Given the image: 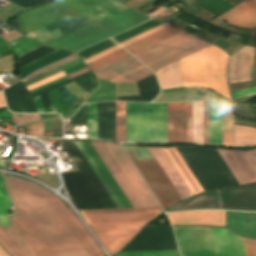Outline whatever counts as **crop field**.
Segmentation results:
<instances>
[{
    "instance_id": "crop-field-1",
    "label": "crop field",
    "mask_w": 256,
    "mask_h": 256,
    "mask_svg": "<svg viewBox=\"0 0 256 256\" xmlns=\"http://www.w3.org/2000/svg\"><path fill=\"white\" fill-rule=\"evenodd\" d=\"M15 214L0 218V244L12 256H105L63 202L23 179L6 175Z\"/></svg>"
},
{
    "instance_id": "crop-field-2",
    "label": "crop field",
    "mask_w": 256,
    "mask_h": 256,
    "mask_svg": "<svg viewBox=\"0 0 256 256\" xmlns=\"http://www.w3.org/2000/svg\"><path fill=\"white\" fill-rule=\"evenodd\" d=\"M228 55L211 45L180 61L184 86L209 87L231 100L225 73Z\"/></svg>"
},
{
    "instance_id": "crop-field-3",
    "label": "crop field",
    "mask_w": 256,
    "mask_h": 256,
    "mask_svg": "<svg viewBox=\"0 0 256 256\" xmlns=\"http://www.w3.org/2000/svg\"><path fill=\"white\" fill-rule=\"evenodd\" d=\"M127 142L167 143L166 103L126 102Z\"/></svg>"
},
{
    "instance_id": "crop-field-4",
    "label": "crop field",
    "mask_w": 256,
    "mask_h": 256,
    "mask_svg": "<svg viewBox=\"0 0 256 256\" xmlns=\"http://www.w3.org/2000/svg\"><path fill=\"white\" fill-rule=\"evenodd\" d=\"M204 191L239 186L217 150L176 148Z\"/></svg>"
},
{
    "instance_id": "crop-field-5",
    "label": "crop field",
    "mask_w": 256,
    "mask_h": 256,
    "mask_svg": "<svg viewBox=\"0 0 256 256\" xmlns=\"http://www.w3.org/2000/svg\"><path fill=\"white\" fill-rule=\"evenodd\" d=\"M149 18L128 8L110 18L49 44L57 48H68L75 52L106 38L121 33Z\"/></svg>"
},
{
    "instance_id": "crop-field-6",
    "label": "crop field",
    "mask_w": 256,
    "mask_h": 256,
    "mask_svg": "<svg viewBox=\"0 0 256 256\" xmlns=\"http://www.w3.org/2000/svg\"><path fill=\"white\" fill-rule=\"evenodd\" d=\"M126 8L128 7L116 0H107L26 36L40 44L47 45Z\"/></svg>"
},
{
    "instance_id": "crop-field-7",
    "label": "crop field",
    "mask_w": 256,
    "mask_h": 256,
    "mask_svg": "<svg viewBox=\"0 0 256 256\" xmlns=\"http://www.w3.org/2000/svg\"><path fill=\"white\" fill-rule=\"evenodd\" d=\"M209 45L211 44L181 31L133 55L156 71Z\"/></svg>"
},
{
    "instance_id": "crop-field-8",
    "label": "crop field",
    "mask_w": 256,
    "mask_h": 256,
    "mask_svg": "<svg viewBox=\"0 0 256 256\" xmlns=\"http://www.w3.org/2000/svg\"><path fill=\"white\" fill-rule=\"evenodd\" d=\"M101 1L103 0H59L29 10L20 18L26 30L30 33Z\"/></svg>"
},
{
    "instance_id": "crop-field-9",
    "label": "crop field",
    "mask_w": 256,
    "mask_h": 256,
    "mask_svg": "<svg viewBox=\"0 0 256 256\" xmlns=\"http://www.w3.org/2000/svg\"><path fill=\"white\" fill-rule=\"evenodd\" d=\"M127 153L152 187L163 209L182 200L151 153Z\"/></svg>"
},
{
    "instance_id": "crop-field-10",
    "label": "crop field",
    "mask_w": 256,
    "mask_h": 256,
    "mask_svg": "<svg viewBox=\"0 0 256 256\" xmlns=\"http://www.w3.org/2000/svg\"><path fill=\"white\" fill-rule=\"evenodd\" d=\"M181 256H218L209 227H173Z\"/></svg>"
},
{
    "instance_id": "crop-field-11",
    "label": "crop field",
    "mask_w": 256,
    "mask_h": 256,
    "mask_svg": "<svg viewBox=\"0 0 256 256\" xmlns=\"http://www.w3.org/2000/svg\"><path fill=\"white\" fill-rule=\"evenodd\" d=\"M153 72L131 55L96 72V77L114 83L138 81Z\"/></svg>"
},
{
    "instance_id": "crop-field-12",
    "label": "crop field",
    "mask_w": 256,
    "mask_h": 256,
    "mask_svg": "<svg viewBox=\"0 0 256 256\" xmlns=\"http://www.w3.org/2000/svg\"><path fill=\"white\" fill-rule=\"evenodd\" d=\"M147 223L90 226L98 239L113 255L121 250L130 239Z\"/></svg>"
},
{
    "instance_id": "crop-field-13",
    "label": "crop field",
    "mask_w": 256,
    "mask_h": 256,
    "mask_svg": "<svg viewBox=\"0 0 256 256\" xmlns=\"http://www.w3.org/2000/svg\"><path fill=\"white\" fill-rule=\"evenodd\" d=\"M148 210H161V208L92 210V211H80V213L148 211ZM160 212L161 211L122 212V213H95V214H83V216L86 219L88 225L138 223V222H149L153 217H155Z\"/></svg>"
},
{
    "instance_id": "crop-field-14",
    "label": "crop field",
    "mask_w": 256,
    "mask_h": 256,
    "mask_svg": "<svg viewBox=\"0 0 256 256\" xmlns=\"http://www.w3.org/2000/svg\"><path fill=\"white\" fill-rule=\"evenodd\" d=\"M240 185L256 182V150L240 152L218 150Z\"/></svg>"
},
{
    "instance_id": "crop-field-15",
    "label": "crop field",
    "mask_w": 256,
    "mask_h": 256,
    "mask_svg": "<svg viewBox=\"0 0 256 256\" xmlns=\"http://www.w3.org/2000/svg\"><path fill=\"white\" fill-rule=\"evenodd\" d=\"M115 159L118 161L134 187L136 188L137 192L147 205V207H154L159 206L157 201L155 200L154 196L150 192L149 188L141 178L140 174L128 158L127 154L121 147V145L111 144L105 142Z\"/></svg>"
},
{
    "instance_id": "crop-field-16",
    "label": "crop field",
    "mask_w": 256,
    "mask_h": 256,
    "mask_svg": "<svg viewBox=\"0 0 256 256\" xmlns=\"http://www.w3.org/2000/svg\"><path fill=\"white\" fill-rule=\"evenodd\" d=\"M91 144L103 159L133 207H146L104 142H91Z\"/></svg>"
},
{
    "instance_id": "crop-field-17",
    "label": "crop field",
    "mask_w": 256,
    "mask_h": 256,
    "mask_svg": "<svg viewBox=\"0 0 256 256\" xmlns=\"http://www.w3.org/2000/svg\"><path fill=\"white\" fill-rule=\"evenodd\" d=\"M218 18L226 22L245 28H256V0H247L224 14L218 16L210 23L223 28L226 24L217 20ZM249 30L241 29L240 34L248 36Z\"/></svg>"
},
{
    "instance_id": "crop-field-18",
    "label": "crop field",
    "mask_w": 256,
    "mask_h": 256,
    "mask_svg": "<svg viewBox=\"0 0 256 256\" xmlns=\"http://www.w3.org/2000/svg\"><path fill=\"white\" fill-rule=\"evenodd\" d=\"M168 143L187 142L186 102L167 103Z\"/></svg>"
},
{
    "instance_id": "crop-field-19",
    "label": "crop field",
    "mask_w": 256,
    "mask_h": 256,
    "mask_svg": "<svg viewBox=\"0 0 256 256\" xmlns=\"http://www.w3.org/2000/svg\"><path fill=\"white\" fill-rule=\"evenodd\" d=\"M171 224L226 226V211H197L167 214Z\"/></svg>"
},
{
    "instance_id": "crop-field-20",
    "label": "crop field",
    "mask_w": 256,
    "mask_h": 256,
    "mask_svg": "<svg viewBox=\"0 0 256 256\" xmlns=\"http://www.w3.org/2000/svg\"><path fill=\"white\" fill-rule=\"evenodd\" d=\"M254 48L245 46L236 55L230 56L228 78L230 83L250 81Z\"/></svg>"
},
{
    "instance_id": "crop-field-21",
    "label": "crop field",
    "mask_w": 256,
    "mask_h": 256,
    "mask_svg": "<svg viewBox=\"0 0 256 256\" xmlns=\"http://www.w3.org/2000/svg\"><path fill=\"white\" fill-rule=\"evenodd\" d=\"M210 228L219 256H245L240 237L225 228Z\"/></svg>"
},
{
    "instance_id": "crop-field-22",
    "label": "crop field",
    "mask_w": 256,
    "mask_h": 256,
    "mask_svg": "<svg viewBox=\"0 0 256 256\" xmlns=\"http://www.w3.org/2000/svg\"><path fill=\"white\" fill-rule=\"evenodd\" d=\"M227 227L243 237L256 239V213L227 211Z\"/></svg>"
},
{
    "instance_id": "crop-field-23",
    "label": "crop field",
    "mask_w": 256,
    "mask_h": 256,
    "mask_svg": "<svg viewBox=\"0 0 256 256\" xmlns=\"http://www.w3.org/2000/svg\"><path fill=\"white\" fill-rule=\"evenodd\" d=\"M149 150L153 153L168 178L182 197V199L192 195V192L183 181L171 161L168 159L162 148H149Z\"/></svg>"
},
{
    "instance_id": "crop-field-24",
    "label": "crop field",
    "mask_w": 256,
    "mask_h": 256,
    "mask_svg": "<svg viewBox=\"0 0 256 256\" xmlns=\"http://www.w3.org/2000/svg\"><path fill=\"white\" fill-rule=\"evenodd\" d=\"M99 139L115 141V102L98 103Z\"/></svg>"
},
{
    "instance_id": "crop-field-25",
    "label": "crop field",
    "mask_w": 256,
    "mask_h": 256,
    "mask_svg": "<svg viewBox=\"0 0 256 256\" xmlns=\"http://www.w3.org/2000/svg\"><path fill=\"white\" fill-rule=\"evenodd\" d=\"M169 159L172 161L184 181L187 183L193 194L202 192L203 189L196 181L184 161L181 159L175 148H163Z\"/></svg>"
},
{
    "instance_id": "crop-field-26",
    "label": "crop field",
    "mask_w": 256,
    "mask_h": 256,
    "mask_svg": "<svg viewBox=\"0 0 256 256\" xmlns=\"http://www.w3.org/2000/svg\"><path fill=\"white\" fill-rule=\"evenodd\" d=\"M210 144H221L222 102H209Z\"/></svg>"
},
{
    "instance_id": "crop-field-27",
    "label": "crop field",
    "mask_w": 256,
    "mask_h": 256,
    "mask_svg": "<svg viewBox=\"0 0 256 256\" xmlns=\"http://www.w3.org/2000/svg\"><path fill=\"white\" fill-rule=\"evenodd\" d=\"M155 73L161 89L183 86L179 61Z\"/></svg>"
},
{
    "instance_id": "crop-field-28",
    "label": "crop field",
    "mask_w": 256,
    "mask_h": 256,
    "mask_svg": "<svg viewBox=\"0 0 256 256\" xmlns=\"http://www.w3.org/2000/svg\"><path fill=\"white\" fill-rule=\"evenodd\" d=\"M82 144L84 145L86 150L89 152L97 166L100 168V170L106 177L107 181L111 185L112 189L116 193L124 208L132 207V205L130 204V202L128 201V199L126 198V196L124 195V193L122 192V190L120 189V187L118 186V184L116 183V181L114 180V178L112 177V175L110 174V172L108 171V169L96 153L90 142H82Z\"/></svg>"
},
{
    "instance_id": "crop-field-29",
    "label": "crop field",
    "mask_w": 256,
    "mask_h": 256,
    "mask_svg": "<svg viewBox=\"0 0 256 256\" xmlns=\"http://www.w3.org/2000/svg\"><path fill=\"white\" fill-rule=\"evenodd\" d=\"M181 30L175 28L174 26L170 25L146 38H143L135 43H132L126 47H124V49H126L128 52H130L131 54L153 44L156 43L168 36H171L177 32H179Z\"/></svg>"
},
{
    "instance_id": "crop-field-30",
    "label": "crop field",
    "mask_w": 256,
    "mask_h": 256,
    "mask_svg": "<svg viewBox=\"0 0 256 256\" xmlns=\"http://www.w3.org/2000/svg\"><path fill=\"white\" fill-rule=\"evenodd\" d=\"M73 132H87V138L98 139L97 103L87 104V126L72 127Z\"/></svg>"
},
{
    "instance_id": "crop-field-31",
    "label": "crop field",
    "mask_w": 256,
    "mask_h": 256,
    "mask_svg": "<svg viewBox=\"0 0 256 256\" xmlns=\"http://www.w3.org/2000/svg\"><path fill=\"white\" fill-rule=\"evenodd\" d=\"M235 145H256V128L234 126Z\"/></svg>"
},
{
    "instance_id": "crop-field-32",
    "label": "crop field",
    "mask_w": 256,
    "mask_h": 256,
    "mask_svg": "<svg viewBox=\"0 0 256 256\" xmlns=\"http://www.w3.org/2000/svg\"><path fill=\"white\" fill-rule=\"evenodd\" d=\"M222 144L233 145V112L228 102H223Z\"/></svg>"
},
{
    "instance_id": "crop-field-33",
    "label": "crop field",
    "mask_w": 256,
    "mask_h": 256,
    "mask_svg": "<svg viewBox=\"0 0 256 256\" xmlns=\"http://www.w3.org/2000/svg\"><path fill=\"white\" fill-rule=\"evenodd\" d=\"M59 52L21 70L20 68V75H21V79L25 78L26 76H28L30 73H32L33 71L42 68L48 64H52L55 63L61 59H64L66 57H68L69 55L73 54L72 52L69 51H62V50H58Z\"/></svg>"
},
{
    "instance_id": "crop-field-34",
    "label": "crop field",
    "mask_w": 256,
    "mask_h": 256,
    "mask_svg": "<svg viewBox=\"0 0 256 256\" xmlns=\"http://www.w3.org/2000/svg\"><path fill=\"white\" fill-rule=\"evenodd\" d=\"M193 142L203 144L202 101L193 102Z\"/></svg>"
},
{
    "instance_id": "crop-field-35",
    "label": "crop field",
    "mask_w": 256,
    "mask_h": 256,
    "mask_svg": "<svg viewBox=\"0 0 256 256\" xmlns=\"http://www.w3.org/2000/svg\"><path fill=\"white\" fill-rule=\"evenodd\" d=\"M5 45L13 51L14 55L17 58L42 47L30 42L27 38L23 36Z\"/></svg>"
},
{
    "instance_id": "crop-field-36",
    "label": "crop field",
    "mask_w": 256,
    "mask_h": 256,
    "mask_svg": "<svg viewBox=\"0 0 256 256\" xmlns=\"http://www.w3.org/2000/svg\"><path fill=\"white\" fill-rule=\"evenodd\" d=\"M162 23H164V22L156 21V20H150V21H148L144 24H141V25H139V26H137L133 29H130V30L118 35V36H115L112 39L114 41H116L118 44H120V43H122V42H124V41H126V40H128L132 37H135V36L145 32L149 29H152V28H154V27H156V26H158Z\"/></svg>"
},
{
    "instance_id": "crop-field-37",
    "label": "crop field",
    "mask_w": 256,
    "mask_h": 256,
    "mask_svg": "<svg viewBox=\"0 0 256 256\" xmlns=\"http://www.w3.org/2000/svg\"><path fill=\"white\" fill-rule=\"evenodd\" d=\"M116 141L126 142L125 102H116Z\"/></svg>"
},
{
    "instance_id": "crop-field-38",
    "label": "crop field",
    "mask_w": 256,
    "mask_h": 256,
    "mask_svg": "<svg viewBox=\"0 0 256 256\" xmlns=\"http://www.w3.org/2000/svg\"><path fill=\"white\" fill-rule=\"evenodd\" d=\"M127 55H129V53H127L125 50H123L121 48V49H118V50L88 64V67L91 69L92 72H94V71H96L110 63H113Z\"/></svg>"
},
{
    "instance_id": "crop-field-39",
    "label": "crop field",
    "mask_w": 256,
    "mask_h": 256,
    "mask_svg": "<svg viewBox=\"0 0 256 256\" xmlns=\"http://www.w3.org/2000/svg\"><path fill=\"white\" fill-rule=\"evenodd\" d=\"M75 143L77 144V146L79 147V149L81 150V152L83 153V155L85 156V158L87 159V161L89 162V164L91 165V167L93 168V170L95 171V173L97 174V176L99 177V179L101 180L105 188L107 189L108 193L110 194V196L112 197V199L114 200L118 208H123V206L121 205V203L119 202L115 194L113 193L112 189L110 188V186L108 185V183L106 182V180L104 179V177L102 176V174L100 173V171L98 170L94 162L92 161L91 157L89 156V154L87 153V151L85 150L81 142L75 141Z\"/></svg>"
},
{
    "instance_id": "crop-field-40",
    "label": "crop field",
    "mask_w": 256,
    "mask_h": 256,
    "mask_svg": "<svg viewBox=\"0 0 256 256\" xmlns=\"http://www.w3.org/2000/svg\"><path fill=\"white\" fill-rule=\"evenodd\" d=\"M116 45L113 41H111L110 39L104 40L102 42H99L79 53H77L83 60L99 53L102 52L112 46Z\"/></svg>"
},
{
    "instance_id": "crop-field-41",
    "label": "crop field",
    "mask_w": 256,
    "mask_h": 256,
    "mask_svg": "<svg viewBox=\"0 0 256 256\" xmlns=\"http://www.w3.org/2000/svg\"><path fill=\"white\" fill-rule=\"evenodd\" d=\"M198 3L202 4L203 6L209 8L210 10L214 11L219 15L234 7L225 0H202Z\"/></svg>"
},
{
    "instance_id": "crop-field-42",
    "label": "crop field",
    "mask_w": 256,
    "mask_h": 256,
    "mask_svg": "<svg viewBox=\"0 0 256 256\" xmlns=\"http://www.w3.org/2000/svg\"><path fill=\"white\" fill-rule=\"evenodd\" d=\"M11 202L6 191L4 179L0 174V216H7Z\"/></svg>"
},
{
    "instance_id": "crop-field-43",
    "label": "crop field",
    "mask_w": 256,
    "mask_h": 256,
    "mask_svg": "<svg viewBox=\"0 0 256 256\" xmlns=\"http://www.w3.org/2000/svg\"><path fill=\"white\" fill-rule=\"evenodd\" d=\"M55 49H51V48H47V47H42L32 53H29L21 58L18 59L19 61V67L37 59V58H40L52 51H54Z\"/></svg>"
},
{
    "instance_id": "crop-field-44",
    "label": "crop field",
    "mask_w": 256,
    "mask_h": 256,
    "mask_svg": "<svg viewBox=\"0 0 256 256\" xmlns=\"http://www.w3.org/2000/svg\"><path fill=\"white\" fill-rule=\"evenodd\" d=\"M116 256H179V253L177 250H168V251L120 253Z\"/></svg>"
},
{
    "instance_id": "crop-field-45",
    "label": "crop field",
    "mask_w": 256,
    "mask_h": 256,
    "mask_svg": "<svg viewBox=\"0 0 256 256\" xmlns=\"http://www.w3.org/2000/svg\"><path fill=\"white\" fill-rule=\"evenodd\" d=\"M137 84H138L139 90L159 89L158 83L154 74L138 81Z\"/></svg>"
},
{
    "instance_id": "crop-field-46",
    "label": "crop field",
    "mask_w": 256,
    "mask_h": 256,
    "mask_svg": "<svg viewBox=\"0 0 256 256\" xmlns=\"http://www.w3.org/2000/svg\"><path fill=\"white\" fill-rule=\"evenodd\" d=\"M204 144H209L208 102L203 101Z\"/></svg>"
},
{
    "instance_id": "crop-field-47",
    "label": "crop field",
    "mask_w": 256,
    "mask_h": 256,
    "mask_svg": "<svg viewBox=\"0 0 256 256\" xmlns=\"http://www.w3.org/2000/svg\"><path fill=\"white\" fill-rule=\"evenodd\" d=\"M247 256H256V241L241 238Z\"/></svg>"
},
{
    "instance_id": "crop-field-48",
    "label": "crop field",
    "mask_w": 256,
    "mask_h": 256,
    "mask_svg": "<svg viewBox=\"0 0 256 256\" xmlns=\"http://www.w3.org/2000/svg\"><path fill=\"white\" fill-rule=\"evenodd\" d=\"M168 25H170V24L164 23V24H162V25H160V26H158V27H156V28H154V29H152V30H149V31H147V32H145V33H143V34H141V35L135 37V38H132V39H130V40H128V41H126V42L120 44V45H121L122 47H124V46H126V45H128V44H130V43H132V42H135V41H137V40H139V39H141V38H143V37H146V36H148V35H150V34L156 32V31H158V30H160V29H162V28H164V27H166V26H168Z\"/></svg>"
},
{
    "instance_id": "crop-field-49",
    "label": "crop field",
    "mask_w": 256,
    "mask_h": 256,
    "mask_svg": "<svg viewBox=\"0 0 256 256\" xmlns=\"http://www.w3.org/2000/svg\"><path fill=\"white\" fill-rule=\"evenodd\" d=\"M61 71H62V70L56 68V69H54V70H52V71H50V72H48V73H45V74H43V75H41V76H39V77H37V78H35V79H32V80H30V81L24 83V85H25V87H27V86H29V85H31V84H34V83H36V82H38V81H41V80H43V79H45V78H47V77H50V76H52V75H54V74H57V73H59V72H61Z\"/></svg>"
},
{
    "instance_id": "crop-field-50",
    "label": "crop field",
    "mask_w": 256,
    "mask_h": 256,
    "mask_svg": "<svg viewBox=\"0 0 256 256\" xmlns=\"http://www.w3.org/2000/svg\"><path fill=\"white\" fill-rule=\"evenodd\" d=\"M188 112V142H192V102H187Z\"/></svg>"
},
{
    "instance_id": "crop-field-51",
    "label": "crop field",
    "mask_w": 256,
    "mask_h": 256,
    "mask_svg": "<svg viewBox=\"0 0 256 256\" xmlns=\"http://www.w3.org/2000/svg\"><path fill=\"white\" fill-rule=\"evenodd\" d=\"M63 76H65V74H64L63 72H61V73H59V74H57V75H54V76H52V77H50V78H47V79H45V80H43V81H41V82H38V83H36V84H34V85H31V86L27 87V90L30 91V90H32V89H34V88H37V87H39V86H42V85H44V84H46V83H49V82H51V81H53V80H56V79H58V78H61V77H63Z\"/></svg>"
},
{
    "instance_id": "crop-field-52",
    "label": "crop field",
    "mask_w": 256,
    "mask_h": 256,
    "mask_svg": "<svg viewBox=\"0 0 256 256\" xmlns=\"http://www.w3.org/2000/svg\"><path fill=\"white\" fill-rule=\"evenodd\" d=\"M8 1H10L20 7L26 8L28 6L40 3L45 0H8Z\"/></svg>"
},
{
    "instance_id": "crop-field-53",
    "label": "crop field",
    "mask_w": 256,
    "mask_h": 256,
    "mask_svg": "<svg viewBox=\"0 0 256 256\" xmlns=\"http://www.w3.org/2000/svg\"><path fill=\"white\" fill-rule=\"evenodd\" d=\"M233 98H240L252 94H256V87L255 88H250V89H245V90H239V91H234L232 92Z\"/></svg>"
},
{
    "instance_id": "crop-field-54",
    "label": "crop field",
    "mask_w": 256,
    "mask_h": 256,
    "mask_svg": "<svg viewBox=\"0 0 256 256\" xmlns=\"http://www.w3.org/2000/svg\"><path fill=\"white\" fill-rule=\"evenodd\" d=\"M142 101H152L159 91H139Z\"/></svg>"
},
{
    "instance_id": "crop-field-55",
    "label": "crop field",
    "mask_w": 256,
    "mask_h": 256,
    "mask_svg": "<svg viewBox=\"0 0 256 256\" xmlns=\"http://www.w3.org/2000/svg\"><path fill=\"white\" fill-rule=\"evenodd\" d=\"M31 135L43 137V123L31 126Z\"/></svg>"
},
{
    "instance_id": "crop-field-56",
    "label": "crop field",
    "mask_w": 256,
    "mask_h": 256,
    "mask_svg": "<svg viewBox=\"0 0 256 256\" xmlns=\"http://www.w3.org/2000/svg\"><path fill=\"white\" fill-rule=\"evenodd\" d=\"M118 48H120V47L118 45H116V46H114V47H112V48H110V49H108V50H106V51H104L102 53H99V54H97V55H95V56L85 60V63L88 64V63H90V62H92V61H94V60H96V59H98V58H100V57H102V56H104V55H106V54H108V53L118 49Z\"/></svg>"
},
{
    "instance_id": "crop-field-57",
    "label": "crop field",
    "mask_w": 256,
    "mask_h": 256,
    "mask_svg": "<svg viewBox=\"0 0 256 256\" xmlns=\"http://www.w3.org/2000/svg\"><path fill=\"white\" fill-rule=\"evenodd\" d=\"M11 114L15 120L17 127L27 123L24 114H15V113H11Z\"/></svg>"
},
{
    "instance_id": "crop-field-58",
    "label": "crop field",
    "mask_w": 256,
    "mask_h": 256,
    "mask_svg": "<svg viewBox=\"0 0 256 256\" xmlns=\"http://www.w3.org/2000/svg\"><path fill=\"white\" fill-rule=\"evenodd\" d=\"M54 68H56V67L49 66V67H47V68H45V69H42V70H40V71H38V72H35V73L31 74L30 76H28L26 79H24V80L22 81V83H24V82H26V81H28V80H30V79H32V78H35V77H37V76H39V75H41V74H43V73H45V72H48V71H50V70H52V69H54Z\"/></svg>"
},
{
    "instance_id": "crop-field-59",
    "label": "crop field",
    "mask_w": 256,
    "mask_h": 256,
    "mask_svg": "<svg viewBox=\"0 0 256 256\" xmlns=\"http://www.w3.org/2000/svg\"><path fill=\"white\" fill-rule=\"evenodd\" d=\"M178 11V9L174 8V7H169L168 9H166L165 11H163L162 13H160L158 16H156L155 18L157 19H163L167 16H169L170 14L174 13Z\"/></svg>"
},
{
    "instance_id": "crop-field-60",
    "label": "crop field",
    "mask_w": 256,
    "mask_h": 256,
    "mask_svg": "<svg viewBox=\"0 0 256 256\" xmlns=\"http://www.w3.org/2000/svg\"><path fill=\"white\" fill-rule=\"evenodd\" d=\"M67 79H69L67 76H65V77H63V78H61V79H58V80H56V81H53V82H51V83H49V84H46V85H44V86H42V87H39V88H37V89H34V90H32V91H30V94H32V93H34V92H37V91H39V90H42V89H44V88H47V87H49V86H52V85H54V84H57V83H59V82H62V81H64V80H67Z\"/></svg>"
},
{
    "instance_id": "crop-field-61",
    "label": "crop field",
    "mask_w": 256,
    "mask_h": 256,
    "mask_svg": "<svg viewBox=\"0 0 256 256\" xmlns=\"http://www.w3.org/2000/svg\"><path fill=\"white\" fill-rule=\"evenodd\" d=\"M34 100H35L37 112L38 113H46L45 109H44V106H43V103H42V100H41V97L40 96L35 97Z\"/></svg>"
},
{
    "instance_id": "crop-field-62",
    "label": "crop field",
    "mask_w": 256,
    "mask_h": 256,
    "mask_svg": "<svg viewBox=\"0 0 256 256\" xmlns=\"http://www.w3.org/2000/svg\"><path fill=\"white\" fill-rule=\"evenodd\" d=\"M4 38H6L8 41H11L19 36H21L19 33L15 32V31H10L4 35H2Z\"/></svg>"
},
{
    "instance_id": "crop-field-63",
    "label": "crop field",
    "mask_w": 256,
    "mask_h": 256,
    "mask_svg": "<svg viewBox=\"0 0 256 256\" xmlns=\"http://www.w3.org/2000/svg\"><path fill=\"white\" fill-rule=\"evenodd\" d=\"M76 59H78V57H77L76 55H74V56H71V57H69V58H66V59H64V60H62V61H59V62L55 63L54 65L60 67V66H62V65H64V64H67V63H69V62H71V61H74V60H76Z\"/></svg>"
},
{
    "instance_id": "crop-field-64",
    "label": "crop field",
    "mask_w": 256,
    "mask_h": 256,
    "mask_svg": "<svg viewBox=\"0 0 256 256\" xmlns=\"http://www.w3.org/2000/svg\"><path fill=\"white\" fill-rule=\"evenodd\" d=\"M25 115L28 123L39 120L38 114H25Z\"/></svg>"
},
{
    "instance_id": "crop-field-65",
    "label": "crop field",
    "mask_w": 256,
    "mask_h": 256,
    "mask_svg": "<svg viewBox=\"0 0 256 256\" xmlns=\"http://www.w3.org/2000/svg\"><path fill=\"white\" fill-rule=\"evenodd\" d=\"M82 61L80 60V59H78V60H76V61H74V62H71V63H69V64H67V65H64V66H62V67H60L62 70H64V69H66V68H69V67H71V66H74V65H76V64H79V63H81Z\"/></svg>"
},
{
    "instance_id": "crop-field-66",
    "label": "crop field",
    "mask_w": 256,
    "mask_h": 256,
    "mask_svg": "<svg viewBox=\"0 0 256 256\" xmlns=\"http://www.w3.org/2000/svg\"><path fill=\"white\" fill-rule=\"evenodd\" d=\"M86 72H88V69H87V68H85V69H83V70H81V71H78V72H76V73H73V74H71V75H69V76H70L71 78H73V77H75V76L81 75V74L86 73Z\"/></svg>"
},
{
    "instance_id": "crop-field-67",
    "label": "crop field",
    "mask_w": 256,
    "mask_h": 256,
    "mask_svg": "<svg viewBox=\"0 0 256 256\" xmlns=\"http://www.w3.org/2000/svg\"><path fill=\"white\" fill-rule=\"evenodd\" d=\"M164 9H165L164 7H160L158 9H156L155 11H153L151 14H149V16L153 17Z\"/></svg>"
},
{
    "instance_id": "crop-field-68",
    "label": "crop field",
    "mask_w": 256,
    "mask_h": 256,
    "mask_svg": "<svg viewBox=\"0 0 256 256\" xmlns=\"http://www.w3.org/2000/svg\"><path fill=\"white\" fill-rule=\"evenodd\" d=\"M141 1H143V0H132V1L128 2V3H126V4L129 5V6H133V5H135V4H137V3L141 2Z\"/></svg>"
},
{
    "instance_id": "crop-field-69",
    "label": "crop field",
    "mask_w": 256,
    "mask_h": 256,
    "mask_svg": "<svg viewBox=\"0 0 256 256\" xmlns=\"http://www.w3.org/2000/svg\"><path fill=\"white\" fill-rule=\"evenodd\" d=\"M0 256H9L1 246H0Z\"/></svg>"
},
{
    "instance_id": "crop-field-70",
    "label": "crop field",
    "mask_w": 256,
    "mask_h": 256,
    "mask_svg": "<svg viewBox=\"0 0 256 256\" xmlns=\"http://www.w3.org/2000/svg\"><path fill=\"white\" fill-rule=\"evenodd\" d=\"M2 106H6V105H5V103H4L2 94H1V92H0V107H2Z\"/></svg>"
},
{
    "instance_id": "crop-field-71",
    "label": "crop field",
    "mask_w": 256,
    "mask_h": 256,
    "mask_svg": "<svg viewBox=\"0 0 256 256\" xmlns=\"http://www.w3.org/2000/svg\"><path fill=\"white\" fill-rule=\"evenodd\" d=\"M158 1H160V0H158ZM158 1H156V2H158ZM156 2H154V3H156ZM153 4H151V5H153ZM151 5H149L148 7H150ZM148 7H146V8H148ZM146 8L142 9L141 11L145 10Z\"/></svg>"
},
{
    "instance_id": "crop-field-72",
    "label": "crop field",
    "mask_w": 256,
    "mask_h": 256,
    "mask_svg": "<svg viewBox=\"0 0 256 256\" xmlns=\"http://www.w3.org/2000/svg\"><path fill=\"white\" fill-rule=\"evenodd\" d=\"M0 168H3L1 162H0Z\"/></svg>"
}]
</instances>
